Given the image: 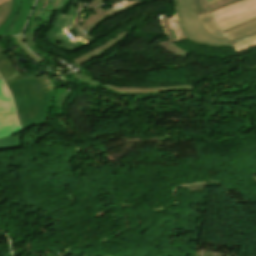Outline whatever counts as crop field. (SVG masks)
<instances>
[{"label":"crop field","mask_w":256,"mask_h":256,"mask_svg":"<svg viewBox=\"0 0 256 256\" xmlns=\"http://www.w3.org/2000/svg\"><path fill=\"white\" fill-rule=\"evenodd\" d=\"M7 85L12 93L19 125L23 129L46 121L55 91L45 92L44 83L36 77Z\"/></svg>","instance_id":"8a807250"},{"label":"crop field","mask_w":256,"mask_h":256,"mask_svg":"<svg viewBox=\"0 0 256 256\" xmlns=\"http://www.w3.org/2000/svg\"><path fill=\"white\" fill-rule=\"evenodd\" d=\"M180 27L186 38L207 46H232L229 39L211 35L194 11L192 0H174Z\"/></svg>","instance_id":"ac0d7876"},{"label":"crop field","mask_w":256,"mask_h":256,"mask_svg":"<svg viewBox=\"0 0 256 256\" xmlns=\"http://www.w3.org/2000/svg\"><path fill=\"white\" fill-rule=\"evenodd\" d=\"M221 30L228 29L256 16V0H245L212 12Z\"/></svg>","instance_id":"34b2d1b8"},{"label":"crop field","mask_w":256,"mask_h":256,"mask_svg":"<svg viewBox=\"0 0 256 256\" xmlns=\"http://www.w3.org/2000/svg\"><path fill=\"white\" fill-rule=\"evenodd\" d=\"M76 11V0L73 2L71 7L69 8L66 15L60 13L59 18L54 26L47 32V39L48 41L61 49H65L67 51H75L83 46L76 43L73 39L69 40L66 34L68 31L66 27L73 19ZM73 46V47H71Z\"/></svg>","instance_id":"412701ff"},{"label":"crop field","mask_w":256,"mask_h":256,"mask_svg":"<svg viewBox=\"0 0 256 256\" xmlns=\"http://www.w3.org/2000/svg\"><path fill=\"white\" fill-rule=\"evenodd\" d=\"M34 2L35 0H13L12 11L0 27V36L20 34Z\"/></svg>","instance_id":"f4fd0767"},{"label":"crop field","mask_w":256,"mask_h":256,"mask_svg":"<svg viewBox=\"0 0 256 256\" xmlns=\"http://www.w3.org/2000/svg\"><path fill=\"white\" fill-rule=\"evenodd\" d=\"M72 77L77 79L81 83H85L92 86H100L108 91H113V92L123 93V94H157V93L194 91L192 85L165 87V88H124V87H118V86H112V85H101L96 80L84 75L83 73L72 75Z\"/></svg>","instance_id":"dd49c442"},{"label":"crop field","mask_w":256,"mask_h":256,"mask_svg":"<svg viewBox=\"0 0 256 256\" xmlns=\"http://www.w3.org/2000/svg\"><path fill=\"white\" fill-rule=\"evenodd\" d=\"M198 16L201 19L204 26L206 27V29L211 34L219 37L229 38L230 41L256 32V21H254L246 26L235 29L227 34H223L219 27L216 25L215 21L213 20L210 12L199 14Z\"/></svg>","instance_id":"e52e79f7"},{"label":"crop field","mask_w":256,"mask_h":256,"mask_svg":"<svg viewBox=\"0 0 256 256\" xmlns=\"http://www.w3.org/2000/svg\"><path fill=\"white\" fill-rule=\"evenodd\" d=\"M143 3H145V2L139 1V2H137V3H135V4L131 5V6H128V7L124 8V9H122L120 11L108 14L100 22H99V19H100V16L102 14L103 8L100 5H98L90 13V15L88 16V18L85 20V22L82 24L81 27L83 28L84 31H86V32H88L90 34L104 20L112 18V17H114L116 15H119V14H121V13H123V12H125V11H127V10H129L131 8H134V7L138 6V5H141Z\"/></svg>","instance_id":"d8731c3e"},{"label":"crop field","mask_w":256,"mask_h":256,"mask_svg":"<svg viewBox=\"0 0 256 256\" xmlns=\"http://www.w3.org/2000/svg\"><path fill=\"white\" fill-rule=\"evenodd\" d=\"M127 34H128L127 31H123L119 35L114 37L112 40L98 46L97 48H95L85 54H82L76 58H73L71 60L73 62H75L77 64V66H81V65L91 61L92 59L96 58L97 56L101 55L108 49H110L113 45L117 44L120 40H122L124 37H126Z\"/></svg>","instance_id":"5a996713"},{"label":"crop field","mask_w":256,"mask_h":256,"mask_svg":"<svg viewBox=\"0 0 256 256\" xmlns=\"http://www.w3.org/2000/svg\"><path fill=\"white\" fill-rule=\"evenodd\" d=\"M0 76L3 78L5 83L24 79L17 69L10 63L0 49Z\"/></svg>","instance_id":"3316defc"},{"label":"crop field","mask_w":256,"mask_h":256,"mask_svg":"<svg viewBox=\"0 0 256 256\" xmlns=\"http://www.w3.org/2000/svg\"><path fill=\"white\" fill-rule=\"evenodd\" d=\"M21 130L15 118V113L0 115V138Z\"/></svg>","instance_id":"28ad6ade"},{"label":"crop field","mask_w":256,"mask_h":256,"mask_svg":"<svg viewBox=\"0 0 256 256\" xmlns=\"http://www.w3.org/2000/svg\"><path fill=\"white\" fill-rule=\"evenodd\" d=\"M14 112L11 95L0 79V113Z\"/></svg>","instance_id":"d1516ede"},{"label":"crop field","mask_w":256,"mask_h":256,"mask_svg":"<svg viewBox=\"0 0 256 256\" xmlns=\"http://www.w3.org/2000/svg\"><path fill=\"white\" fill-rule=\"evenodd\" d=\"M16 133H18V132H16ZM16 133H14V134H16ZM14 134H12V135H14ZM12 135H10L6 138L0 139V151L21 148L22 134L15 136V137H13Z\"/></svg>","instance_id":"22f410ed"},{"label":"crop field","mask_w":256,"mask_h":256,"mask_svg":"<svg viewBox=\"0 0 256 256\" xmlns=\"http://www.w3.org/2000/svg\"><path fill=\"white\" fill-rule=\"evenodd\" d=\"M137 1H122V2H117V3H113L111 4L112 8H109V9H105L103 11V14L101 16V19L108 13H111V12H114V11H117V10H120L128 5H131L133 3H135ZM100 19V20H101Z\"/></svg>","instance_id":"cbeb9de0"},{"label":"crop field","mask_w":256,"mask_h":256,"mask_svg":"<svg viewBox=\"0 0 256 256\" xmlns=\"http://www.w3.org/2000/svg\"><path fill=\"white\" fill-rule=\"evenodd\" d=\"M255 45H256V37H254L248 41H245V42L234 44V48H235L236 52L239 53V52L246 50Z\"/></svg>","instance_id":"5142ce71"},{"label":"crop field","mask_w":256,"mask_h":256,"mask_svg":"<svg viewBox=\"0 0 256 256\" xmlns=\"http://www.w3.org/2000/svg\"><path fill=\"white\" fill-rule=\"evenodd\" d=\"M240 1H242V0H221L219 2H216L214 4L209 5V8L212 12V11H215L217 9L229 6L231 4H234V3H237V2H240Z\"/></svg>","instance_id":"d9b57169"},{"label":"crop field","mask_w":256,"mask_h":256,"mask_svg":"<svg viewBox=\"0 0 256 256\" xmlns=\"http://www.w3.org/2000/svg\"><path fill=\"white\" fill-rule=\"evenodd\" d=\"M12 7V1L0 6V25L6 20Z\"/></svg>","instance_id":"733c2abd"},{"label":"crop field","mask_w":256,"mask_h":256,"mask_svg":"<svg viewBox=\"0 0 256 256\" xmlns=\"http://www.w3.org/2000/svg\"><path fill=\"white\" fill-rule=\"evenodd\" d=\"M193 3L197 14L209 11L206 0H193Z\"/></svg>","instance_id":"4a817a6b"},{"label":"crop field","mask_w":256,"mask_h":256,"mask_svg":"<svg viewBox=\"0 0 256 256\" xmlns=\"http://www.w3.org/2000/svg\"><path fill=\"white\" fill-rule=\"evenodd\" d=\"M16 41L19 44V46L24 50V52L30 57L32 58L34 61H36L37 63L41 62L42 60L38 59L36 56H34L32 53H30L26 46L23 44V34H21L20 36H16Z\"/></svg>","instance_id":"bc2a9ffb"},{"label":"crop field","mask_w":256,"mask_h":256,"mask_svg":"<svg viewBox=\"0 0 256 256\" xmlns=\"http://www.w3.org/2000/svg\"><path fill=\"white\" fill-rule=\"evenodd\" d=\"M35 33H25V44L30 47L36 45L34 42Z\"/></svg>","instance_id":"214f88e0"},{"label":"crop field","mask_w":256,"mask_h":256,"mask_svg":"<svg viewBox=\"0 0 256 256\" xmlns=\"http://www.w3.org/2000/svg\"><path fill=\"white\" fill-rule=\"evenodd\" d=\"M72 29H74L77 32L78 35H80V36H82L86 39H90L89 35L86 32H84L82 30V28L79 27L76 23H74V25L72 26Z\"/></svg>","instance_id":"92a150f3"},{"label":"crop field","mask_w":256,"mask_h":256,"mask_svg":"<svg viewBox=\"0 0 256 256\" xmlns=\"http://www.w3.org/2000/svg\"><path fill=\"white\" fill-rule=\"evenodd\" d=\"M106 1H108V0H91V1L88 2L87 6L85 7V9L83 11H85V10L95 6V5L102 4Z\"/></svg>","instance_id":"dafd665d"},{"label":"crop field","mask_w":256,"mask_h":256,"mask_svg":"<svg viewBox=\"0 0 256 256\" xmlns=\"http://www.w3.org/2000/svg\"><path fill=\"white\" fill-rule=\"evenodd\" d=\"M254 20H256V17L253 18V19H250V20H248V21H246V22H244V23H242V24H239V25H237V26H235V27H232V28H230V29H228V30H224L223 33H226V32H228V31H230V30H232V29H235V28H238V27H240V26H243V25H245V24H247V23H249V22H252V21H254Z\"/></svg>","instance_id":"00972430"},{"label":"crop field","mask_w":256,"mask_h":256,"mask_svg":"<svg viewBox=\"0 0 256 256\" xmlns=\"http://www.w3.org/2000/svg\"><path fill=\"white\" fill-rule=\"evenodd\" d=\"M43 2H44V0H41L39 6H38V8H37V10L35 11V13H34V15H33V17H32L33 20H36V17H37V15H38V13H39V11H40L42 5H43Z\"/></svg>","instance_id":"a9b5d70f"},{"label":"crop field","mask_w":256,"mask_h":256,"mask_svg":"<svg viewBox=\"0 0 256 256\" xmlns=\"http://www.w3.org/2000/svg\"><path fill=\"white\" fill-rule=\"evenodd\" d=\"M253 36H256V33H254V34H252V35H249V36H246V37H244V38H241V39L232 41V44L238 43V42H241V41H245V40H247V39H249V38H251V37H253Z\"/></svg>","instance_id":"4177f3b9"},{"label":"crop field","mask_w":256,"mask_h":256,"mask_svg":"<svg viewBox=\"0 0 256 256\" xmlns=\"http://www.w3.org/2000/svg\"><path fill=\"white\" fill-rule=\"evenodd\" d=\"M66 1H67V0H61L59 6L52 12V14H53L54 12H57V13H58V11L61 9V7L63 6V4H64ZM51 17H52V15H51ZM51 17H50V20H51ZM50 20H49V22H50ZM49 22H48V23H49Z\"/></svg>","instance_id":"730fd06b"},{"label":"crop field","mask_w":256,"mask_h":256,"mask_svg":"<svg viewBox=\"0 0 256 256\" xmlns=\"http://www.w3.org/2000/svg\"><path fill=\"white\" fill-rule=\"evenodd\" d=\"M87 1H89V0H78V9L81 7V5H82L84 2L87 3ZM79 10H80V9H79Z\"/></svg>","instance_id":"eef30255"},{"label":"crop field","mask_w":256,"mask_h":256,"mask_svg":"<svg viewBox=\"0 0 256 256\" xmlns=\"http://www.w3.org/2000/svg\"><path fill=\"white\" fill-rule=\"evenodd\" d=\"M9 0H0V5H2L3 3L7 2Z\"/></svg>","instance_id":"ae1a2a85"},{"label":"crop field","mask_w":256,"mask_h":256,"mask_svg":"<svg viewBox=\"0 0 256 256\" xmlns=\"http://www.w3.org/2000/svg\"><path fill=\"white\" fill-rule=\"evenodd\" d=\"M216 1H219V0H215V1L209 2L208 5L211 4V3H214V2H216Z\"/></svg>","instance_id":"d3111659"},{"label":"crop field","mask_w":256,"mask_h":256,"mask_svg":"<svg viewBox=\"0 0 256 256\" xmlns=\"http://www.w3.org/2000/svg\"><path fill=\"white\" fill-rule=\"evenodd\" d=\"M207 1L209 2V1H212V0H207Z\"/></svg>","instance_id":"750c4746"}]
</instances>
